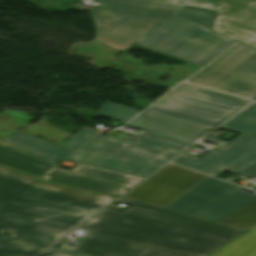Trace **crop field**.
Returning <instances> with one entry per match:
<instances>
[{
  "mask_svg": "<svg viewBox=\"0 0 256 256\" xmlns=\"http://www.w3.org/2000/svg\"><path fill=\"white\" fill-rule=\"evenodd\" d=\"M33 118L18 111H3L0 114V137L9 138Z\"/></svg>",
  "mask_w": 256,
  "mask_h": 256,
  "instance_id": "d9b57169",
  "label": "crop field"
},
{
  "mask_svg": "<svg viewBox=\"0 0 256 256\" xmlns=\"http://www.w3.org/2000/svg\"><path fill=\"white\" fill-rule=\"evenodd\" d=\"M240 174L256 177V163L226 180L231 181ZM240 188L208 176L166 209L247 231L256 226V195Z\"/></svg>",
  "mask_w": 256,
  "mask_h": 256,
  "instance_id": "34b2d1b8",
  "label": "crop field"
},
{
  "mask_svg": "<svg viewBox=\"0 0 256 256\" xmlns=\"http://www.w3.org/2000/svg\"><path fill=\"white\" fill-rule=\"evenodd\" d=\"M215 32L256 47V1L222 0Z\"/></svg>",
  "mask_w": 256,
  "mask_h": 256,
  "instance_id": "22f410ed",
  "label": "crop field"
},
{
  "mask_svg": "<svg viewBox=\"0 0 256 256\" xmlns=\"http://www.w3.org/2000/svg\"><path fill=\"white\" fill-rule=\"evenodd\" d=\"M136 129L144 131L142 134L158 138L168 142L187 146L195 141L208 129L190 124L174 121L156 115L142 112L132 122L127 124Z\"/></svg>",
  "mask_w": 256,
  "mask_h": 256,
  "instance_id": "cbeb9de0",
  "label": "crop field"
},
{
  "mask_svg": "<svg viewBox=\"0 0 256 256\" xmlns=\"http://www.w3.org/2000/svg\"><path fill=\"white\" fill-rule=\"evenodd\" d=\"M184 81L253 99L256 49L235 41Z\"/></svg>",
  "mask_w": 256,
  "mask_h": 256,
  "instance_id": "3316defc",
  "label": "crop field"
},
{
  "mask_svg": "<svg viewBox=\"0 0 256 256\" xmlns=\"http://www.w3.org/2000/svg\"><path fill=\"white\" fill-rule=\"evenodd\" d=\"M176 14L211 28L216 12H208V11L183 7Z\"/></svg>",
  "mask_w": 256,
  "mask_h": 256,
  "instance_id": "4a817a6b",
  "label": "crop field"
},
{
  "mask_svg": "<svg viewBox=\"0 0 256 256\" xmlns=\"http://www.w3.org/2000/svg\"><path fill=\"white\" fill-rule=\"evenodd\" d=\"M233 41L173 15L135 44L203 65Z\"/></svg>",
  "mask_w": 256,
  "mask_h": 256,
  "instance_id": "e52e79f7",
  "label": "crop field"
},
{
  "mask_svg": "<svg viewBox=\"0 0 256 256\" xmlns=\"http://www.w3.org/2000/svg\"><path fill=\"white\" fill-rule=\"evenodd\" d=\"M97 133V131L81 128L59 146L18 131L7 140L0 138V144L58 164Z\"/></svg>",
  "mask_w": 256,
  "mask_h": 256,
  "instance_id": "d1516ede",
  "label": "crop field"
},
{
  "mask_svg": "<svg viewBox=\"0 0 256 256\" xmlns=\"http://www.w3.org/2000/svg\"><path fill=\"white\" fill-rule=\"evenodd\" d=\"M0 163L42 177V180L121 196L143 180L100 169L78 165L71 171L55 168L56 164L0 145Z\"/></svg>",
  "mask_w": 256,
  "mask_h": 256,
  "instance_id": "5a996713",
  "label": "crop field"
},
{
  "mask_svg": "<svg viewBox=\"0 0 256 256\" xmlns=\"http://www.w3.org/2000/svg\"><path fill=\"white\" fill-rule=\"evenodd\" d=\"M171 4H187L215 8L219 0H153Z\"/></svg>",
  "mask_w": 256,
  "mask_h": 256,
  "instance_id": "bc2a9ffb",
  "label": "crop field"
},
{
  "mask_svg": "<svg viewBox=\"0 0 256 256\" xmlns=\"http://www.w3.org/2000/svg\"><path fill=\"white\" fill-rule=\"evenodd\" d=\"M103 6L92 12L97 24L96 39L109 47L125 50L164 19L177 6L134 1L95 0Z\"/></svg>",
  "mask_w": 256,
  "mask_h": 256,
  "instance_id": "dd49c442",
  "label": "crop field"
},
{
  "mask_svg": "<svg viewBox=\"0 0 256 256\" xmlns=\"http://www.w3.org/2000/svg\"><path fill=\"white\" fill-rule=\"evenodd\" d=\"M21 112H23V111H21ZM24 113H26V112H24ZM28 114V113H27Z\"/></svg>",
  "mask_w": 256,
  "mask_h": 256,
  "instance_id": "dafd665d",
  "label": "crop field"
},
{
  "mask_svg": "<svg viewBox=\"0 0 256 256\" xmlns=\"http://www.w3.org/2000/svg\"><path fill=\"white\" fill-rule=\"evenodd\" d=\"M39 179L0 164V256H38L117 198Z\"/></svg>",
  "mask_w": 256,
  "mask_h": 256,
  "instance_id": "8a807250",
  "label": "crop field"
},
{
  "mask_svg": "<svg viewBox=\"0 0 256 256\" xmlns=\"http://www.w3.org/2000/svg\"><path fill=\"white\" fill-rule=\"evenodd\" d=\"M249 102L211 89L181 83L145 112L212 129Z\"/></svg>",
  "mask_w": 256,
  "mask_h": 256,
  "instance_id": "f4fd0767",
  "label": "crop field"
},
{
  "mask_svg": "<svg viewBox=\"0 0 256 256\" xmlns=\"http://www.w3.org/2000/svg\"><path fill=\"white\" fill-rule=\"evenodd\" d=\"M219 128L235 131L240 135L231 142L205 136L203 139L222 147L202 158L182 154L172 162L214 176L225 170L236 173L256 162V102Z\"/></svg>",
  "mask_w": 256,
  "mask_h": 256,
  "instance_id": "d8731c3e",
  "label": "crop field"
},
{
  "mask_svg": "<svg viewBox=\"0 0 256 256\" xmlns=\"http://www.w3.org/2000/svg\"><path fill=\"white\" fill-rule=\"evenodd\" d=\"M184 149L144 136L133 141L98 133L65 160L146 178Z\"/></svg>",
  "mask_w": 256,
  "mask_h": 256,
  "instance_id": "412701ff",
  "label": "crop field"
},
{
  "mask_svg": "<svg viewBox=\"0 0 256 256\" xmlns=\"http://www.w3.org/2000/svg\"><path fill=\"white\" fill-rule=\"evenodd\" d=\"M127 211L107 209L81 229L90 230L76 252L95 256H208L244 231L140 202Z\"/></svg>",
  "mask_w": 256,
  "mask_h": 256,
  "instance_id": "ac0d7876",
  "label": "crop field"
},
{
  "mask_svg": "<svg viewBox=\"0 0 256 256\" xmlns=\"http://www.w3.org/2000/svg\"><path fill=\"white\" fill-rule=\"evenodd\" d=\"M48 254H51L52 256H91V255H86V254H81V253L56 249V248H53L52 250H50Z\"/></svg>",
  "mask_w": 256,
  "mask_h": 256,
  "instance_id": "214f88e0",
  "label": "crop field"
},
{
  "mask_svg": "<svg viewBox=\"0 0 256 256\" xmlns=\"http://www.w3.org/2000/svg\"><path fill=\"white\" fill-rule=\"evenodd\" d=\"M220 2H221V0H220ZM220 2H219V4H220ZM219 4H218V6L216 8V10H218V11H219V9H223L224 8V7L219 6Z\"/></svg>",
  "mask_w": 256,
  "mask_h": 256,
  "instance_id": "92a150f3",
  "label": "crop field"
},
{
  "mask_svg": "<svg viewBox=\"0 0 256 256\" xmlns=\"http://www.w3.org/2000/svg\"><path fill=\"white\" fill-rule=\"evenodd\" d=\"M205 177L207 175L168 164L124 198L165 208Z\"/></svg>",
  "mask_w": 256,
  "mask_h": 256,
  "instance_id": "28ad6ade",
  "label": "crop field"
},
{
  "mask_svg": "<svg viewBox=\"0 0 256 256\" xmlns=\"http://www.w3.org/2000/svg\"><path fill=\"white\" fill-rule=\"evenodd\" d=\"M209 256H256V227Z\"/></svg>",
  "mask_w": 256,
  "mask_h": 256,
  "instance_id": "5142ce71",
  "label": "crop field"
},
{
  "mask_svg": "<svg viewBox=\"0 0 256 256\" xmlns=\"http://www.w3.org/2000/svg\"><path fill=\"white\" fill-rule=\"evenodd\" d=\"M139 113L140 111L106 102L97 114L127 122Z\"/></svg>",
  "mask_w": 256,
  "mask_h": 256,
  "instance_id": "733c2abd",
  "label": "crop field"
}]
</instances>
